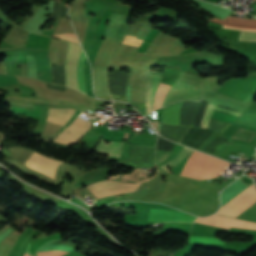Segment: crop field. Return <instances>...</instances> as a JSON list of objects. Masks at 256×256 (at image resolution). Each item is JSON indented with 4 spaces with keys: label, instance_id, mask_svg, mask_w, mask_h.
Here are the masks:
<instances>
[{
    "label": "crop field",
    "instance_id": "1",
    "mask_svg": "<svg viewBox=\"0 0 256 256\" xmlns=\"http://www.w3.org/2000/svg\"><path fill=\"white\" fill-rule=\"evenodd\" d=\"M256 202V188L254 184L241 192L233 200L227 203L216 214L236 217Z\"/></svg>",
    "mask_w": 256,
    "mask_h": 256
},
{
    "label": "crop field",
    "instance_id": "2",
    "mask_svg": "<svg viewBox=\"0 0 256 256\" xmlns=\"http://www.w3.org/2000/svg\"><path fill=\"white\" fill-rule=\"evenodd\" d=\"M139 185L140 183L130 184L118 181H102L87 187L97 198H100L134 191Z\"/></svg>",
    "mask_w": 256,
    "mask_h": 256
},
{
    "label": "crop field",
    "instance_id": "3",
    "mask_svg": "<svg viewBox=\"0 0 256 256\" xmlns=\"http://www.w3.org/2000/svg\"><path fill=\"white\" fill-rule=\"evenodd\" d=\"M25 163L27 167L55 179L56 169L62 162L44 157L34 152Z\"/></svg>",
    "mask_w": 256,
    "mask_h": 256
},
{
    "label": "crop field",
    "instance_id": "4",
    "mask_svg": "<svg viewBox=\"0 0 256 256\" xmlns=\"http://www.w3.org/2000/svg\"><path fill=\"white\" fill-rule=\"evenodd\" d=\"M94 122H85L80 118L73 121L63 132L55 139V142L64 144H74L80 136L86 132Z\"/></svg>",
    "mask_w": 256,
    "mask_h": 256
},
{
    "label": "crop field",
    "instance_id": "5",
    "mask_svg": "<svg viewBox=\"0 0 256 256\" xmlns=\"http://www.w3.org/2000/svg\"><path fill=\"white\" fill-rule=\"evenodd\" d=\"M80 50H81L80 45L69 42V50H68L67 61H66V83L68 86L78 91L79 89H78V83L76 78V64L80 54Z\"/></svg>",
    "mask_w": 256,
    "mask_h": 256
},
{
    "label": "crop field",
    "instance_id": "6",
    "mask_svg": "<svg viewBox=\"0 0 256 256\" xmlns=\"http://www.w3.org/2000/svg\"><path fill=\"white\" fill-rule=\"evenodd\" d=\"M213 217H219V218L233 220L232 218L221 217V216H216V215H213ZM196 222L202 223V224H207V225H212V226H217V227H222V228H227V229H229L230 226L256 229V223L237 220V219H235L234 221H230V220H224V219H218V218H212V217H205V218H198Z\"/></svg>",
    "mask_w": 256,
    "mask_h": 256
},
{
    "label": "crop field",
    "instance_id": "7",
    "mask_svg": "<svg viewBox=\"0 0 256 256\" xmlns=\"http://www.w3.org/2000/svg\"><path fill=\"white\" fill-rule=\"evenodd\" d=\"M74 112H75L74 109L51 108L49 111L47 121L64 126L71 119Z\"/></svg>",
    "mask_w": 256,
    "mask_h": 256
},
{
    "label": "crop field",
    "instance_id": "8",
    "mask_svg": "<svg viewBox=\"0 0 256 256\" xmlns=\"http://www.w3.org/2000/svg\"><path fill=\"white\" fill-rule=\"evenodd\" d=\"M160 79H161V77L156 76V75H151V77H150L147 95H146V102H145L146 114L153 111L155 92L158 88Z\"/></svg>",
    "mask_w": 256,
    "mask_h": 256
},
{
    "label": "crop field",
    "instance_id": "9",
    "mask_svg": "<svg viewBox=\"0 0 256 256\" xmlns=\"http://www.w3.org/2000/svg\"><path fill=\"white\" fill-rule=\"evenodd\" d=\"M151 169L136 168L131 176L107 177L106 179L140 182L150 178Z\"/></svg>",
    "mask_w": 256,
    "mask_h": 256
},
{
    "label": "crop field",
    "instance_id": "10",
    "mask_svg": "<svg viewBox=\"0 0 256 256\" xmlns=\"http://www.w3.org/2000/svg\"><path fill=\"white\" fill-rule=\"evenodd\" d=\"M121 144L119 142H110V143H105L104 140L100 142V144L95 148L94 151L107 154V155H112V156H117L119 157V152L121 148Z\"/></svg>",
    "mask_w": 256,
    "mask_h": 256
},
{
    "label": "crop field",
    "instance_id": "11",
    "mask_svg": "<svg viewBox=\"0 0 256 256\" xmlns=\"http://www.w3.org/2000/svg\"><path fill=\"white\" fill-rule=\"evenodd\" d=\"M85 59H86V57H85L83 51H81L80 58L78 61L77 77H78L80 91L87 94L85 83H84V77H83V67H84Z\"/></svg>",
    "mask_w": 256,
    "mask_h": 256
},
{
    "label": "crop field",
    "instance_id": "12",
    "mask_svg": "<svg viewBox=\"0 0 256 256\" xmlns=\"http://www.w3.org/2000/svg\"><path fill=\"white\" fill-rule=\"evenodd\" d=\"M170 85L161 83L159 84V88L156 92V99H155V103H154V109L161 107V104L163 102V99L167 93V91L169 90Z\"/></svg>",
    "mask_w": 256,
    "mask_h": 256
},
{
    "label": "crop field",
    "instance_id": "13",
    "mask_svg": "<svg viewBox=\"0 0 256 256\" xmlns=\"http://www.w3.org/2000/svg\"><path fill=\"white\" fill-rule=\"evenodd\" d=\"M192 152L193 150L183 147L182 151L175 158L163 164L162 167L165 168L167 172H170L167 167L178 164L183 158L186 157L187 154L191 155Z\"/></svg>",
    "mask_w": 256,
    "mask_h": 256
},
{
    "label": "crop field",
    "instance_id": "14",
    "mask_svg": "<svg viewBox=\"0 0 256 256\" xmlns=\"http://www.w3.org/2000/svg\"><path fill=\"white\" fill-rule=\"evenodd\" d=\"M213 109L233 113V114H236L238 116L241 115V113H238V112H234V111H230V110H226V109L218 108L216 106L209 105L205 114H204V116H203V118H202V126L201 127H204V128L208 127V123H209V120H210Z\"/></svg>",
    "mask_w": 256,
    "mask_h": 256
},
{
    "label": "crop field",
    "instance_id": "15",
    "mask_svg": "<svg viewBox=\"0 0 256 256\" xmlns=\"http://www.w3.org/2000/svg\"><path fill=\"white\" fill-rule=\"evenodd\" d=\"M189 242L224 245L223 240H221L219 238H210V237L190 236Z\"/></svg>",
    "mask_w": 256,
    "mask_h": 256
},
{
    "label": "crop field",
    "instance_id": "16",
    "mask_svg": "<svg viewBox=\"0 0 256 256\" xmlns=\"http://www.w3.org/2000/svg\"><path fill=\"white\" fill-rule=\"evenodd\" d=\"M252 132L251 131H246V130H241V129H236L233 128L231 132L228 134V136H232L235 138L243 139V140H249Z\"/></svg>",
    "mask_w": 256,
    "mask_h": 256
},
{
    "label": "crop field",
    "instance_id": "17",
    "mask_svg": "<svg viewBox=\"0 0 256 256\" xmlns=\"http://www.w3.org/2000/svg\"><path fill=\"white\" fill-rule=\"evenodd\" d=\"M239 40L242 41H255L256 42V32H245L242 31Z\"/></svg>",
    "mask_w": 256,
    "mask_h": 256
},
{
    "label": "crop field",
    "instance_id": "18",
    "mask_svg": "<svg viewBox=\"0 0 256 256\" xmlns=\"http://www.w3.org/2000/svg\"><path fill=\"white\" fill-rule=\"evenodd\" d=\"M142 42V40H138L136 39V37L134 36H125L124 41L122 42L123 44H128V45H135V46H139L140 43Z\"/></svg>",
    "mask_w": 256,
    "mask_h": 256
},
{
    "label": "crop field",
    "instance_id": "19",
    "mask_svg": "<svg viewBox=\"0 0 256 256\" xmlns=\"http://www.w3.org/2000/svg\"><path fill=\"white\" fill-rule=\"evenodd\" d=\"M67 253L68 252H65V251H47V252L38 253L37 256H62Z\"/></svg>",
    "mask_w": 256,
    "mask_h": 256
},
{
    "label": "crop field",
    "instance_id": "20",
    "mask_svg": "<svg viewBox=\"0 0 256 256\" xmlns=\"http://www.w3.org/2000/svg\"><path fill=\"white\" fill-rule=\"evenodd\" d=\"M67 35H70V36H73V37H76V35H73V34H69V33H66ZM67 35H64V34H60V35H53V36H57V37H61V38H65V39H68V40H71L73 42H78V40L76 38H73V37H70V36H67ZM56 37V38H57ZM79 43V42H78Z\"/></svg>",
    "mask_w": 256,
    "mask_h": 256
},
{
    "label": "crop field",
    "instance_id": "21",
    "mask_svg": "<svg viewBox=\"0 0 256 256\" xmlns=\"http://www.w3.org/2000/svg\"><path fill=\"white\" fill-rule=\"evenodd\" d=\"M151 124L154 126V128L157 130V132H159L160 127H161L162 124L154 123V122H151Z\"/></svg>",
    "mask_w": 256,
    "mask_h": 256
},
{
    "label": "crop field",
    "instance_id": "22",
    "mask_svg": "<svg viewBox=\"0 0 256 256\" xmlns=\"http://www.w3.org/2000/svg\"><path fill=\"white\" fill-rule=\"evenodd\" d=\"M24 256H30V255H28V254H26V253H25V255H24Z\"/></svg>",
    "mask_w": 256,
    "mask_h": 256
},
{
    "label": "crop field",
    "instance_id": "23",
    "mask_svg": "<svg viewBox=\"0 0 256 256\" xmlns=\"http://www.w3.org/2000/svg\"><path fill=\"white\" fill-rule=\"evenodd\" d=\"M127 135H128V133L126 132V135H125L126 138H127Z\"/></svg>",
    "mask_w": 256,
    "mask_h": 256
}]
</instances>
